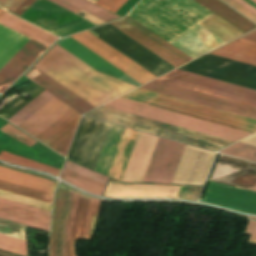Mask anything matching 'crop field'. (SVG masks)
Wrapping results in <instances>:
<instances>
[{"instance_id":"1","label":"crop field","mask_w":256,"mask_h":256,"mask_svg":"<svg viewBox=\"0 0 256 256\" xmlns=\"http://www.w3.org/2000/svg\"><path fill=\"white\" fill-rule=\"evenodd\" d=\"M128 15L170 43L212 13L193 0H142ZM128 15L110 24L175 68L225 44L198 25L171 43L191 59Z\"/></svg>"},{"instance_id":"2","label":"crop field","mask_w":256,"mask_h":256,"mask_svg":"<svg viewBox=\"0 0 256 256\" xmlns=\"http://www.w3.org/2000/svg\"><path fill=\"white\" fill-rule=\"evenodd\" d=\"M24 76L81 114L95 108L33 67ZM45 90L8 121L65 156L81 114Z\"/></svg>"},{"instance_id":"3","label":"crop field","mask_w":256,"mask_h":256,"mask_svg":"<svg viewBox=\"0 0 256 256\" xmlns=\"http://www.w3.org/2000/svg\"><path fill=\"white\" fill-rule=\"evenodd\" d=\"M33 67L95 107L136 87L94 70L56 44Z\"/></svg>"},{"instance_id":"4","label":"crop field","mask_w":256,"mask_h":256,"mask_svg":"<svg viewBox=\"0 0 256 256\" xmlns=\"http://www.w3.org/2000/svg\"><path fill=\"white\" fill-rule=\"evenodd\" d=\"M92 30L99 34L101 39L157 77L175 69L109 24ZM93 31L91 32L97 35ZM71 37L141 84L156 78L88 31Z\"/></svg>"},{"instance_id":"5","label":"crop field","mask_w":256,"mask_h":256,"mask_svg":"<svg viewBox=\"0 0 256 256\" xmlns=\"http://www.w3.org/2000/svg\"><path fill=\"white\" fill-rule=\"evenodd\" d=\"M0 24L47 47L57 39L8 13L0 19ZM2 25H0V68L29 40ZM31 39L0 69V93L47 49Z\"/></svg>"},{"instance_id":"6","label":"crop field","mask_w":256,"mask_h":256,"mask_svg":"<svg viewBox=\"0 0 256 256\" xmlns=\"http://www.w3.org/2000/svg\"><path fill=\"white\" fill-rule=\"evenodd\" d=\"M211 181L256 191V165L220 155ZM212 182L200 201L256 214L255 191Z\"/></svg>"},{"instance_id":"7","label":"crop field","mask_w":256,"mask_h":256,"mask_svg":"<svg viewBox=\"0 0 256 256\" xmlns=\"http://www.w3.org/2000/svg\"><path fill=\"white\" fill-rule=\"evenodd\" d=\"M158 138L139 133L121 181H142ZM184 146L160 137L142 182L170 184Z\"/></svg>"},{"instance_id":"8","label":"crop field","mask_w":256,"mask_h":256,"mask_svg":"<svg viewBox=\"0 0 256 256\" xmlns=\"http://www.w3.org/2000/svg\"><path fill=\"white\" fill-rule=\"evenodd\" d=\"M109 125L83 117L67 159L93 170ZM138 133L125 129L108 176L121 180Z\"/></svg>"},{"instance_id":"9","label":"crop field","mask_w":256,"mask_h":256,"mask_svg":"<svg viewBox=\"0 0 256 256\" xmlns=\"http://www.w3.org/2000/svg\"><path fill=\"white\" fill-rule=\"evenodd\" d=\"M84 115L213 151L233 143L103 106Z\"/></svg>"},{"instance_id":"10","label":"crop field","mask_w":256,"mask_h":256,"mask_svg":"<svg viewBox=\"0 0 256 256\" xmlns=\"http://www.w3.org/2000/svg\"><path fill=\"white\" fill-rule=\"evenodd\" d=\"M121 98L144 103L180 114L192 116L243 131L256 132V121L237 116L227 112L219 111L209 107L201 106L191 102L183 101L173 97L165 96L144 89H136Z\"/></svg>"},{"instance_id":"11","label":"crop field","mask_w":256,"mask_h":256,"mask_svg":"<svg viewBox=\"0 0 256 256\" xmlns=\"http://www.w3.org/2000/svg\"><path fill=\"white\" fill-rule=\"evenodd\" d=\"M103 106L236 142L251 133L118 98Z\"/></svg>"},{"instance_id":"12","label":"crop field","mask_w":256,"mask_h":256,"mask_svg":"<svg viewBox=\"0 0 256 256\" xmlns=\"http://www.w3.org/2000/svg\"><path fill=\"white\" fill-rule=\"evenodd\" d=\"M156 80L256 107V91L175 69Z\"/></svg>"},{"instance_id":"13","label":"crop field","mask_w":256,"mask_h":256,"mask_svg":"<svg viewBox=\"0 0 256 256\" xmlns=\"http://www.w3.org/2000/svg\"><path fill=\"white\" fill-rule=\"evenodd\" d=\"M140 88L227 111L256 120V108L153 80Z\"/></svg>"},{"instance_id":"14","label":"crop field","mask_w":256,"mask_h":256,"mask_svg":"<svg viewBox=\"0 0 256 256\" xmlns=\"http://www.w3.org/2000/svg\"><path fill=\"white\" fill-rule=\"evenodd\" d=\"M0 180L9 182L12 184H16L19 186L27 187L30 189H34L37 191L45 192L48 194H52V195L57 185V183H54L50 180H47L38 176L26 174V173L14 171L1 166H0ZM1 181H0V190H4L7 192H11L14 194L22 195L25 197L33 198L36 200H40V201L52 204V195L37 192L34 190H30L27 188L19 187V186L1 182Z\"/></svg>"},{"instance_id":"15","label":"crop field","mask_w":256,"mask_h":256,"mask_svg":"<svg viewBox=\"0 0 256 256\" xmlns=\"http://www.w3.org/2000/svg\"><path fill=\"white\" fill-rule=\"evenodd\" d=\"M118 182L109 179L103 196L175 198L180 187L170 185L130 184Z\"/></svg>"},{"instance_id":"16","label":"crop field","mask_w":256,"mask_h":256,"mask_svg":"<svg viewBox=\"0 0 256 256\" xmlns=\"http://www.w3.org/2000/svg\"><path fill=\"white\" fill-rule=\"evenodd\" d=\"M60 179L91 194L101 196L107 182V177L87 170L83 167L66 162Z\"/></svg>"},{"instance_id":"17","label":"crop field","mask_w":256,"mask_h":256,"mask_svg":"<svg viewBox=\"0 0 256 256\" xmlns=\"http://www.w3.org/2000/svg\"><path fill=\"white\" fill-rule=\"evenodd\" d=\"M59 45L94 67L95 69L119 78L125 75L123 72L73 40L72 38L62 41Z\"/></svg>"},{"instance_id":"18","label":"crop field","mask_w":256,"mask_h":256,"mask_svg":"<svg viewBox=\"0 0 256 256\" xmlns=\"http://www.w3.org/2000/svg\"><path fill=\"white\" fill-rule=\"evenodd\" d=\"M201 5L215 13L218 17L246 34L254 29L256 25L220 2L219 0H195Z\"/></svg>"},{"instance_id":"19","label":"crop field","mask_w":256,"mask_h":256,"mask_svg":"<svg viewBox=\"0 0 256 256\" xmlns=\"http://www.w3.org/2000/svg\"><path fill=\"white\" fill-rule=\"evenodd\" d=\"M0 233L25 240L24 226L0 219ZM0 234V249L26 256L25 241Z\"/></svg>"},{"instance_id":"20","label":"crop field","mask_w":256,"mask_h":256,"mask_svg":"<svg viewBox=\"0 0 256 256\" xmlns=\"http://www.w3.org/2000/svg\"><path fill=\"white\" fill-rule=\"evenodd\" d=\"M241 39V38H240ZM237 39L210 54L256 66V43Z\"/></svg>"},{"instance_id":"21","label":"crop field","mask_w":256,"mask_h":256,"mask_svg":"<svg viewBox=\"0 0 256 256\" xmlns=\"http://www.w3.org/2000/svg\"><path fill=\"white\" fill-rule=\"evenodd\" d=\"M0 211L48 225L51 216L50 212L21 205L4 199H0Z\"/></svg>"},{"instance_id":"22","label":"crop field","mask_w":256,"mask_h":256,"mask_svg":"<svg viewBox=\"0 0 256 256\" xmlns=\"http://www.w3.org/2000/svg\"><path fill=\"white\" fill-rule=\"evenodd\" d=\"M90 198L79 194L74 223L71 230V256H75V239H83Z\"/></svg>"},{"instance_id":"23","label":"crop field","mask_w":256,"mask_h":256,"mask_svg":"<svg viewBox=\"0 0 256 256\" xmlns=\"http://www.w3.org/2000/svg\"><path fill=\"white\" fill-rule=\"evenodd\" d=\"M64 192H65V188L59 185L57 189L56 197H55V206H54L53 219H52V230L50 233V256H56L55 243H56V235L58 230L60 212H61V208L64 200Z\"/></svg>"},{"instance_id":"24","label":"crop field","mask_w":256,"mask_h":256,"mask_svg":"<svg viewBox=\"0 0 256 256\" xmlns=\"http://www.w3.org/2000/svg\"><path fill=\"white\" fill-rule=\"evenodd\" d=\"M0 160H4V161L10 162V163L28 167V168H31L34 170L47 172V173L53 174L55 176H57L60 171L59 169H56V168H53V167H50L47 165H43V164L28 160V159H25V158H22V157H19L16 155H12V154H9V153L3 152V151L0 154Z\"/></svg>"},{"instance_id":"25","label":"crop field","mask_w":256,"mask_h":256,"mask_svg":"<svg viewBox=\"0 0 256 256\" xmlns=\"http://www.w3.org/2000/svg\"><path fill=\"white\" fill-rule=\"evenodd\" d=\"M105 22L118 18V16L86 1V0H63Z\"/></svg>"},{"instance_id":"26","label":"crop field","mask_w":256,"mask_h":256,"mask_svg":"<svg viewBox=\"0 0 256 256\" xmlns=\"http://www.w3.org/2000/svg\"><path fill=\"white\" fill-rule=\"evenodd\" d=\"M219 152L256 162V147L244 143L237 142Z\"/></svg>"},{"instance_id":"27","label":"crop field","mask_w":256,"mask_h":256,"mask_svg":"<svg viewBox=\"0 0 256 256\" xmlns=\"http://www.w3.org/2000/svg\"><path fill=\"white\" fill-rule=\"evenodd\" d=\"M127 0H97L95 4L104 7L112 12H116ZM138 0H128L116 14L121 17L137 2Z\"/></svg>"},{"instance_id":"28","label":"crop field","mask_w":256,"mask_h":256,"mask_svg":"<svg viewBox=\"0 0 256 256\" xmlns=\"http://www.w3.org/2000/svg\"><path fill=\"white\" fill-rule=\"evenodd\" d=\"M100 210V201L92 199L90 201L84 239L90 240L93 235L94 227Z\"/></svg>"},{"instance_id":"29","label":"crop field","mask_w":256,"mask_h":256,"mask_svg":"<svg viewBox=\"0 0 256 256\" xmlns=\"http://www.w3.org/2000/svg\"><path fill=\"white\" fill-rule=\"evenodd\" d=\"M92 25H95V24H93L85 19H82L80 21H77V22L59 27L57 29L51 30L50 32L61 37V36L67 35L69 33L87 28Z\"/></svg>"},{"instance_id":"30","label":"crop field","mask_w":256,"mask_h":256,"mask_svg":"<svg viewBox=\"0 0 256 256\" xmlns=\"http://www.w3.org/2000/svg\"><path fill=\"white\" fill-rule=\"evenodd\" d=\"M0 131L25 143L29 147H31L33 144L37 142L32 138L28 137L27 135L23 134L22 132L18 131L8 123L2 129H0Z\"/></svg>"},{"instance_id":"31","label":"crop field","mask_w":256,"mask_h":256,"mask_svg":"<svg viewBox=\"0 0 256 256\" xmlns=\"http://www.w3.org/2000/svg\"><path fill=\"white\" fill-rule=\"evenodd\" d=\"M202 187L181 186L176 198L198 200Z\"/></svg>"},{"instance_id":"32","label":"crop field","mask_w":256,"mask_h":256,"mask_svg":"<svg viewBox=\"0 0 256 256\" xmlns=\"http://www.w3.org/2000/svg\"><path fill=\"white\" fill-rule=\"evenodd\" d=\"M26 104H27V102L18 98L14 102H12L10 105L5 107L3 110H1L0 115L8 120L10 117H12L17 111H19Z\"/></svg>"},{"instance_id":"33","label":"crop field","mask_w":256,"mask_h":256,"mask_svg":"<svg viewBox=\"0 0 256 256\" xmlns=\"http://www.w3.org/2000/svg\"><path fill=\"white\" fill-rule=\"evenodd\" d=\"M0 218L11 220V221H14V222H18V223H21V224L29 225V226L36 227V228L43 229V230H47V231H48V228H49L48 225H44V224L37 223V222H34V221L26 220V219L19 218V217H16V216H12V215H9V214H5V213H2V212H0Z\"/></svg>"},{"instance_id":"34","label":"crop field","mask_w":256,"mask_h":256,"mask_svg":"<svg viewBox=\"0 0 256 256\" xmlns=\"http://www.w3.org/2000/svg\"><path fill=\"white\" fill-rule=\"evenodd\" d=\"M31 7L46 10L49 12H66L67 11L47 0H37Z\"/></svg>"},{"instance_id":"35","label":"crop field","mask_w":256,"mask_h":256,"mask_svg":"<svg viewBox=\"0 0 256 256\" xmlns=\"http://www.w3.org/2000/svg\"><path fill=\"white\" fill-rule=\"evenodd\" d=\"M73 194H74V192L71 191L70 203H69V206H68V209H67V212H66L64 225H63L62 240H61V256H65L66 229H67V222H68L69 213H70V210H71V207H72Z\"/></svg>"},{"instance_id":"36","label":"crop field","mask_w":256,"mask_h":256,"mask_svg":"<svg viewBox=\"0 0 256 256\" xmlns=\"http://www.w3.org/2000/svg\"><path fill=\"white\" fill-rule=\"evenodd\" d=\"M77 196H78V194L75 193L74 207H73V210L70 215L69 222H68L67 239H66V256H70V230H71V226H72V222H73V218H74Z\"/></svg>"},{"instance_id":"37","label":"crop field","mask_w":256,"mask_h":256,"mask_svg":"<svg viewBox=\"0 0 256 256\" xmlns=\"http://www.w3.org/2000/svg\"><path fill=\"white\" fill-rule=\"evenodd\" d=\"M25 0H0V7L13 12Z\"/></svg>"},{"instance_id":"38","label":"crop field","mask_w":256,"mask_h":256,"mask_svg":"<svg viewBox=\"0 0 256 256\" xmlns=\"http://www.w3.org/2000/svg\"><path fill=\"white\" fill-rule=\"evenodd\" d=\"M223 1L229 4L230 6H232L233 8H235L236 10H238L239 12H241L242 14H244L245 16H247L248 18H250L251 20H253L254 22H256L255 15H253L252 13H250L249 11H247L246 9H244L234 1L232 0H223Z\"/></svg>"},{"instance_id":"39","label":"crop field","mask_w":256,"mask_h":256,"mask_svg":"<svg viewBox=\"0 0 256 256\" xmlns=\"http://www.w3.org/2000/svg\"><path fill=\"white\" fill-rule=\"evenodd\" d=\"M244 233L251 235L248 243L256 245V222L250 220Z\"/></svg>"},{"instance_id":"40","label":"crop field","mask_w":256,"mask_h":256,"mask_svg":"<svg viewBox=\"0 0 256 256\" xmlns=\"http://www.w3.org/2000/svg\"><path fill=\"white\" fill-rule=\"evenodd\" d=\"M35 0H26L20 7H18L13 13L21 15Z\"/></svg>"},{"instance_id":"41","label":"crop field","mask_w":256,"mask_h":256,"mask_svg":"<svg viewBox=\"0 0 256 256\" xmlns=\"http://www.w3.org/2000/svg\"><path fill=\"white\" fill-rule=\"evenodd\" d=\"M50 1H52V2L62 6L64 8H66V9H68V10H70V11L76 13V14L80 11V10H78V9H76V8H74V7H72V6L68 5V4L60 1V0H50Z\"/></svg>"},{"instance_id":"42","label":"crop field","mask_w":256,"mask_h":256,"mask_svg":"<svg viewBox=\"0 0 256 256\" xmlns=\"http://www.w3.org/2000/svg\"><path fill=\"white\" fill-rule=\"evenodd\" d=\"M241 39H244V40H248V41H252V42H256V30L241 37Z\"/></svg>"},{"instance_id":"43","label":"crop field","mask_w":256,"mask_h":256,"mask_svg":"<svg viewBox=\"0 0 256 256\" xmlns=\"http://www.w3.org/2000/svg\"><path fill=\"white\" fill-rule=\"evenodd\" d=\"M234 1H236L237 3H239L240 5H242L243 7H245L246 9H248L249 11H251L256 15V10L251 6H249L248 4H246L245 2H243L242 0H234Z\"/></svg>"},{"instance_id":"44","label":"crop field","mask_w":256,"mask_h":256,"mask_svg":"<svg viewBox=\"0 0 256 256\" xmlns=\"http://www.w3.org/2000/svg\"><path fill=\"white\" fill-rule=\"evenodd\" d=\"M244 1L247 2L248 4H250L251 6H253L254 8H256V4H254L250 0H244Z\"/></svg>"},{"instance_id":"45","label":"crop field","mask_w":256,"mask_h":256,"mask_svg":"<svg viewBox=\"0 0 256 256\" xmlns=\"http://www.w3.org/2000/svg\"><path fill=\"white\" fill-rule=\"evenodd\" d=\"M6 12L0 10V17L3 16Z\"/></svg>"},{"instance_id":"46","label":"crop field","mask_w":256,"mask_h":256,"mask_svg":"<svg viewBox=\"0 0 256 256\" xmlns=\"http://www.w3.org/2000/svg\"><path fill=\"white\" fill-rule=\"evenodd\" d=\"M89 1H91V2H93V3H94L96 0H89Z\"/></svg>"},{"instance_id":"47","label":"crop field","mask_w":256,"mask_h":256,"mask_svg":"<svg viewBox=\"0 0 256 256\" xmlns=\"http://www.w3.org/2000/svg\"><path fill=\"white\" fill-rule=\"evenodd\" d=\"M251 1H253L254 3H256V0H251Z\"/></svg>"},{"instance_id":"48","label":"crop field","mask_w":256,"mask_h":256,"mask_svg":"<svg viewBox=\"0 0 256 256\" xmlns=\"http://www.w3.org/2000/svg\"><path fill=\"white\" fill-rule=\"evenodd\" d=\"M250 217H253V216H250ZM253 218H256V217H253Z\"/></svg>"}]
</instances>
